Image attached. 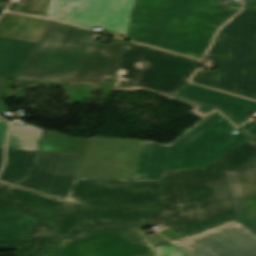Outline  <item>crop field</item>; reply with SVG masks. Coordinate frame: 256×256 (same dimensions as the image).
Returning <instances> with one entry per match:
<instances>
[{
  "label": "crop field",
  "instance_id": "dd49c442",
  "mask_svg": "<svg viewBox=\"0 0 256 256\" xmlns=\"http://www.w3.org/2000/svg\"><path fill=\"white\" fill-rule=\"evenodd\" d=\"M199 61L125 41L113 90H150L163 97L182 87Z\"/></svg>",
  "mask_w": 256,
  "mask_h": 256
},
{
  "label": "crop field",
  "instance_id": "34b2d1b8",
  "mask_svg": "<svg viewBox=\"0 0 256 256\" xmlns=\"http://www.w3.org/2000/svg\"><path fill=\"white\" fill-rule=\"evenodd\" d=\"M76 176L48 237L71 238L86 227L143 225L159 182Z\"/></svg>",
  "mask_w": 256,
  "mask_h": 256
},
{
  "label": "crop field",
  "instance_id": "a9b5d70f",
  "mask_svg": "<svg viewBox=\"0 0 256 256\" xmlns=\"http://www.w3.org/2000/svg\"><path fill=\"white\" fill-rule=\"evenodd\" d=\"M155 256H189L173 245L168 246H154Z\"/></svg>",
  "mask_w": 256,
  "mask_h": 256
},
{
  "label": "crop field",
  "instance_id": "eef30255",
  "mask_svg": "<svg viewBox=\"0 0 256 256\" xmlns=\"http://www.w3.org/2000/svg\"><path fill=\"white\" fill-rule=\"evenodd\" d=\"M243 131L247 133L250 137H253L256 135V123L251 121L243 126H241Z\"/></svg>",
  "mask_w": 256,
  "mask_h": 256
},
{
  "label": "crop field",
  "instance_id": "d1516ede",
  "mask_svg": "<svg viewBox=\"0 0 256 256\" xmlns=\"http://www.w3.org/2000/svg\"><path fill=\"white\" fill-rule=\"evenodd\" d=\"M193 256H256V234L233 222L176 243Z\"/></svg>",
  "mask_w": 256,
  "mask_h": 256
},
{
  "label": "crop field",
  "instance_id": "733c2abd",
  "mask_svg": "<svg viewBox=\"0 0 256 256\" xmlns=\"http://www.w3.org/2000/svg\"><path fill=\"white\" fill-rule=\"evenodd\" d=\"M51 20L6 13L0 19V35L39 43Z\"/></svg>",
  "mask_w": 256,
  "mask_h": 256
},
{
  "label": "crop field",
  "instance_id": "28ad6ade",
  "mask_svg": "<svg viewBox=\"0 0 256 256\" xmlns=\"http://www.w3.org/2000/svg\"><path fill=\"white\" fill-rule=\"evenodd\" d=\"M140 140L92 138L76 175L134 177Z\"/></svg>",
  "mask_w": 256,
  "mask_h": 256
},
{
  "label": "crop field",
  "instance_id": "e52e79f7",
  "mask_svg": "<svg viewBox=\"0 0 256 256\" xmlns=\"http://www.w3.org/2000/svg\"><path fill=\"white\" fill-rule=\"evenodd\" d=\"M135 0H33L11 3L9 11L38 15L74 23L121 38L127 28Z\"/></svg>",
  "mask_w": 256,
  "mask_h": 256
},
{
  "label": "crop field",
  "instance_id": "412701ff",
  "mask_svg": "<svg viewBox=\"0 0 256 256\" xmlns=\"http://www.w3.org/2000/svg\"><path fill=\"white\" fill-rule=\"evenodd\" d=\"M88 33L55 22L18 78L87 84L114 79L124 40L113 38L104 45L85 41Z\"/></svg>",
  "mask_w": 256,
  "mask_h": 256
},
{
  "label": "crop field",
  "instance_id": "8a807250",
  "mask_svg": "<svg viewBox=\"0 0 256 256\" xmlns=\"http://www.w3.org/2000/svg\"><path fill=\"white\" fill-rule=\"evenodd\" d=\"M236 221L222 158L203 169L164 171L145 225L164 222L187 239Z\"/></svg>",
  "mask_w": 256,
  "mask_h": 256
},
{
  "label": "crop field",
  "instance_id": "750c4746",
  "mask_svg": "<svg viewBox=\"0 0 256 256\" xmlns=\"http://www.w3.org/2000/svg\"><path fill=\"white\" fill-rule=\"evenodd\" d=\"M4 9H5V8L0 7V14L3 12Z\"/></svg>",
  "mask_w": 256,
  "mask_h": 256
},
{
  "label": "crop field",
  "instance_id": "d8731c3e",
  "mask_svg": "<svg viewBox=\"0 0 256 256\" xmlns=\"http://www.w3.org/2000/svg\"><path fill=\"white\" fill-rule=\"evenodd\" d=\"M63 202L0 183V240L45 235Z\"/></svg>",
  "mask_w": 256,
  "mask_h": 256
},
{
  "label": "crop field",
  "instance_id": "ae1a2a85",
  "mask_svg": "<svg viewBox=\"0 0 256 256\" xmlns=\"http://www.w3.org/2000/svg\"><path fill=\"white\" fill-rule=\"evenodd\" d=\"M7 79H8V78H0V114H2V115H5V114H4V111H8L6 105H5L4 102L1 100L3 87H4L5 81H6Z\"/></svg>",
  "mask_w": 256,
  "mask_h": 256
},
{
  "label": "crop field",
  "instance_id": "5a996713",
  "mask_svg": "<svg viewBox=\"0 0 256 256\" xmlns=\"http://www.w3.org/2000/svg\"><path fill=\"white\" fill-rule=\"evenodd\" d=\"M242 12L216 36L207 57L219 60L211 73L197 71L192 81L211 88L256 99V89L238 71L242 55Z\"/></svg>",
  "mask_w": 256,
  "mask_h": 256
},
{
  "label": "crop field",
  "instance_id": "730fd06b",
  "mask_svg": "<svg viewBox=\"0 0 256 256\" xmlns=\"http://www.w3.org/2000/svg\"><path fill=\"white\" fill-rule=\"evenodd\" d=\"M8 124L4 120L0 119V148L4 147Z\"/></svg>",
  "mask_w": 256,
  "mask_h": 256
},
{
  "label": "crop field",
  "instance_id": "f4fd0767",
  "mask_svg": "<svg viewBox=\"0 0 256 256\" xmlns=\"http://www.w3.org/2000/svg\"><path fill=\"white\" fill-rule=\"evenodd\" d=\"M168 99L194 107L189 112L201 120L169 145L141 141L134 181H159L164 170L202 168L249 139L238 128L229 134L236 126L214 107Z\"/></svg>",
  "mask_w": 256,
  "mask_h": 256
},
{
  "label": "crop field",
  "instance_id": "ac0d7876",
  "mask_svg": "<svg viewBox=\"0 0 256 256\" xmlns=\"http://www.w3.org/2000/svg\"><path fill=\"white\" fill-rule=\"evenodd\" d=\"M217 0H136L127 38L203 58L217 29L238 10Z\"/></svg>",
  "mask_w": 256,
  "mask_h": 256
},
{
  "label": "crop field",
  "instance_id": "cbeb9de0",
  "mask_svg": "<svg viewBox=\"0 0 256 256\" xmlns=\"http://www.w3.org/2000/svg\"><path fill=\"white\" fill-rule=\"evenodd\" d=\"M226 175L237 220L256 233V154L243 170Z\"/></svg>",
  "mask_w": 256,
  "mask_h": 256
},
{
  "label": "crop field",
  "instance_id": "92a150f3",
  "mask_svg": "<svg viewBox=\"0 0 256 256\" xmlns=\"http://www.w3.org/2000/svg\"><path fill=\"white\" fill-rule=\"evenodd\" d=\"M44 130L30 124L21 126L12 125L7 149L39 151L37 143Z\"/></svg>",
  "mask_w": 256,
  "mask_h": 256
},
{
  "label": "crop field",
  "instance_id": "22f410ed",
  "mask_svg": "<svg viewBox=\"0 0 256 256\" xmlns=\"http://www.w3.org/2000/svg\"><path fill=\"white\" fill-rule=\"evenodd\" d=\"M83 155L40 152L38 165L18 186L66 198Z\"/></svg>",
  "mask_w": 256,
  "mask_h": 256
},
{
  "label": "crop field",
  "instance_id": "3316defc",
  "mask_svg": "<svg viewBox=\"0 0 256 256\" xmlns=\"http://www.w3.org/2000/svg\"><path fill=\"white\" fill-rule=\"evenodd\" d=\"M154 254L140 227L109 226L85 230L72 239H61L56 256H136Z\"/></svg>",
  "mask_w": 256,
  "mask_h": 256
},
{
  "label": "crop field",
  "instance_id": "dafd665d",
  "mask_svg": "<svg viewBox=\"0 0 256 256\" xmlns=\"http://www.w3.org/2000/svg\"><path fill=\"white\" fill-rule=\"evenodd\" d=\"M48 240L49 238L46 236L1 240L0 250L17 249L19 256H36L39 252H41L43 244Z\"/></svg>",
  "mask_w": 256,
  "mask_h": 256
},
{
  "label": "crop field",
  "instance_id": "bd1437ed",
  "mask_svg": "<svg viewBox=\"0 0 256 256\" xmlns=\"http://www.w3.org/2000/svg\"><path fill=\"white\" fill-rule=\"evenodd\" d=\"M252 139H254V140L256 141V136H255V137H253Z\"/></svg>",
  "mask_w": 256,
  "mask_h": 256
},
{
  "label": "crop field",
  "instance_id": "5142ce71",
  "mask_svg": "<svg viewBox=\"0 0 256 256\" xmlns=\"http://www.w3.org/2000/svg\"><path fill=\"white\" fill-rule=\"evenodd\" d=\"M173 95L216 106L238 125L248 120L246 113L256 111V102L191 83H187Z\"/></svg>",
  "mask_w": 256,
  "mask_h": 256
},
{
  "label": "crop field",
  "instance_id": "214f88e0",
  "mask_svg": "<svg viewBox=\"0 0 256 256\" xmlns=\"http://www.w3.org/2000/svg\"><path fill=\"white\" fill-rule=\"evenodd\" d=\"M89 140L65 137L56 131H46L40 143L41 151L83 154Z\"/></svg>",
  "mask_w": 256,
  "mask_h": 256
},
{
  "label": "crop field",
  "instance_id": "4a817a6b",
  "mask_svg": "<svg viewBox=\"0 0 256 256\" xmlns=\"http://www.w3.org/2000/svg\"><path fill=\"white\" fill-rule=\"evenodd\" d=\"M37 44L0 37V77H16Z\"/></svg>",
  "mask_w": 256,
  "mask_h": 256
},
{
  "label": "crop field",
  "instance_id": "4177f3b9",
  "mask_svg": "<svg viewBox=\"0 0 256 256\" xmlns=\"http://www.w3.org/2000/svg\"><path fill=\"white\" fill-rule=\"evenodd\" d=\"M61 238L51 239V241L45 244L46 249L40 256H55ZM154 256V255H149Z\"/></svg>",
  "mask_w": 256,
  "mask_h": 256
},
{
  "label": "crop field",
  "instance_id": "00972430",
  "mask_svg": "<svg viewBox=\"0 0 256 256\" xmlns=\"http://www.w3.org/2000/svg\"><path fill=\"white\" fill-rule=\"evenodd\" d=\"M256 151V143L248 140L222 156L225 169L241 168Z\"/></svg>",
  "mask_w": 256,
  "mask_h": 256
},
{
  "label": "crop field",
  "instance_id": "d3111659",
  "mask_svg": "<svg viewBox=\"0 0 256 256\" xmlns=\"http://www.w3.org/2000/svg\"><path fill=\"white\" fill-rule=\"evenodd\" d=\"M3 155H4L3 149H0V168H1L2 163H3Z\"/></svg>",
  "mask_w": 256,
  "mask_h": 256
},
{
  "label": "crop field",
  "instance_id": "bc2a9ffb",
  "mask_svg": "<svg viewBox=\"0 0 256 256\" xmlns=\"http://www.w3.org/2000/svg\"><path fill=\"white\" fill-rule=\"evenodd\" d=\"M39 152L7 150V161L0 181L16 185L28 176V170L36 165Z\"/></svg>",
  "mask_w": 256,
  "mask_h": 256
},
{
  "label": "crop field",
  "instance_id": "d9b57169",
  "mask_svg": "<svg viewBox=\"0 0 256 256\" xmlns=\"http://www.w3.org/2000/svg\"><path fill=\"white\" fill-rule=\"evenodd\" d=\"M243 55L239 71L256 88V0H244Z\"/></svg>",
  "mask_w": 256,
  "mask_h": 256
}]
</instances>
